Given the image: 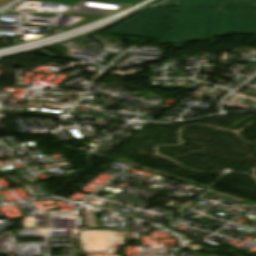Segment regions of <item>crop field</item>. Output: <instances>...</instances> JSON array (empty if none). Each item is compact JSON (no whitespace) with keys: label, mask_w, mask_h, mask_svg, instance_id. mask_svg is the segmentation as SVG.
Listing matches in <instances>:
<instances>
[{"label":"crop field","mask_w":256,"mask_h":256,"mask_svg":"<svg viewBox=\"0 0 256 256\" xmlns=\"http://www.w3.org/2000/svg\"><path fill=\"white\" fill-rule=\"evenodd\" d=\"M178 0H168L158 6H177Z\"/></svg>","instance_id":"7"},{"label":"crop field","mask_w":256,"mask_h":256,"mask_svg":"<svg viewBox=\"0 0 256 256\" xmlns=\"http://www.w3.org/2000/svg\"><path fill=\"white\" fill-rule=\"evenodd\" d=\"M176 9H147L120 23L106 33L151 37L167 44Z\"/></svg>","instance_id":"2"},{"label":"crop field","mask_w":256,"mask_h":256,"mask_svg":"<svg viewBox=\"0 0 256 256\" xmlns=\"http://www.w3.org/2000/svg\"><path fill=\"white\" fill-rule=\"evenodd\" d=\"M221 6L234 5L233 0H220Z\"/></svg>","instance_id":"9"},{"label":"crop field","mask_w":256,"mask_h":256,"mask_svg":"<svg viewBox=\"0 0 256 256\" xmlns=\"http://www.w3.org/2000/svg\"><path fill=\"white\" fill-rule=\"evenodd\" d=\"M237 34L235 7H218L215 37Z\"/></svg>","instance_id":"3"},{"label":"crop field","mask_w":256,"mask_h":256,"mask_svg":"<svg viewBox=\"0 0 256 256\" xmlns=\"http://www.w3.org/2000/svg\"><path fill=\"white\" fill-rule=\"evenodd\" d=\"M220 6L219 0H179L178 7ZM215 8H178L169 43L213 38Z\"/></svg>","instance_id":"1"},{"label":"crop field","mask_w":256,"mask_h":256,"mask_svg":"<svg viewBox=\"0 0 256 256\" xmlns=\"http://www.w3.org/2000/svg\"><path fill=\"white\" fill-rule=\"evenodd\" d=\"M235 5H250L249 0H234Z\"/></svg>","instance_id":"8"},{"label":"crop field","mask_w":256,"mask_h":256,"mask_svg":"<svg viewBox=\"0 0 256 256\" xmlns=\"http://www.w3.org/2000/svg\"><path fill=\"white\" fill-rule=\"evenodd\" d=\"M45 2H52V3H60V4H68V5H75L82 0H39ZM93 1H100V2H112V3H121L131 5L141 0H93Z\"/></svg>","instance_id":"5"},{"label":"crop field","mask_w":256,"mask_h":256,"mask_svg":"<svg viewBox=\"0 0 256 256\" xmlns=\"http://www.w3.org/2000/svg\"><path fill=\"white\" fill-rule=\"evenodd\" d=\"M238 34L255 35L250 7H236Z\"/></svg>","instance_id":"4"},{"label":"crop field","mask_w":256,"mask_h":256,"mask_svg":"<svg viewBox=\"0 0 256 256\" xmlns=\"http://www.w3.org/2000/svg\"><path fill=\"white\" fill-rule=\"evenodd\" d=\"M251 5H256V0H250ZM252 9V15H253V21H254V27H255V33H256V7H251Z\"/></svg>","instance_id":"6"}]
</instances>
